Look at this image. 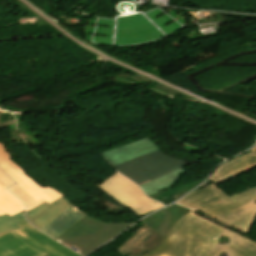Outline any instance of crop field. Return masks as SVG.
Instances as JSON below:
<instances>
[{
	"label": "crop field",
	"mask_w": 256,
	"mask_h": 256,
	"mask_svg": "<svg viewBox=\"0 0 256 256\" xmlns=\"http://www.w3.org/2000/svg\"><path fill=\"white\" fill-rule=\"evenodd\" d=\"M252 151L218 167L210 179L219 184L256 167V148ZM177 203L246 235L256 218V186L229 196L212 184L186 195Z\"/></svg>",
	"instance_id": "1"
},
{
	"label": "crop field",
	"mask_w": 256,
	"mask_h": 256,
	"mask_svg": "<svg viewBox=\"0 0 256 256\" xmlns=\"http://www.w3.org/2000/svg\"><path fill=\"white\" fill-rule=\"evenodd\" d=\"M251 241L190 212L143 256H256Z\"/></svg>",
	"instance_id": "2"
},
{
	"label": "crop field",
	"mask_w": 256,
	"mask_h": 256,
	"mask_svg": "<svg viewBox=\"0 0 256 256\" xmlns=\"http://www.w3.org/2000/svg\"><path fill=\"white\" fill-rule=\"evenodd\" d=\"M23 228L0 235V256H79L26 222Z\"/></svg>",
	"instance_id": "3"
},
{
	"label": "crop field",
	"mask_w": 256,
	"mask_h": 256,
	"mask_svg": "<svg viewBox=\"0 0 256 256\" xmlns=\"http://www.w3.org/2000/svg\"><path fill=\"white\" fill-rule=\"evenodd\" d=\"M132 224L105 223L86 216L55 240L86 256Z\"/></svg>",
	"instance_id": "4"
},
{
	"label": "crop field",
	"mask_w": 256,
	"mask_h": 256,
	"mask_svg": "<svg viewBox=\"0 0 256 256\" xmlns=\"http://www.w3.org/2000/svg\"><path fill=\"white\" fill-rule=\"evenodd\" d=\"M0 167L16 182L9 190L26 204V212L45 201L50 204L63 196L50 187H41L28 177L23 170L11 160L6 147L2 144H0Z\"/></svg>",
	"instance_id": "5"
},
{
	"label": "crop field",
	"mask_w": 256,
	"mask_h": 256,
	"mask_svg": "<svg viewBox=\"0 0 256 256\" xmlns=\"http://www.w3.org/2000/svg\"><path fill=\"white\" fill-rule=\"evenodd\" d=\"M186 164L187 162L168 157L159 150L118 164L114 168L137 185H142Z\"/></svg>",
	"instance_id": "6"
},
{
	"label": "crop field",
	"mask_w": 256,
	"mask_h": 256,
	"mask_svg": "<svg viewBox=\"0 0 256 256\" xmlns=\"http://www.w3.org/2000/svg\"><path fill=\"white\" fill-rule=\"evenodd\" d=\"M98 188L139 216L163 207L162 204L149 200L138 186L118 173L102 182Z\"/></svg>",
	"instance_id": "7"
},
{
	"label": "crop field",
	"mask_w": 256,
	"mask_h": 256,
	"mask_svg": "<svg viewBox=\"0 0 256 256\" xmlns=\"http://www.w3.org/2000/svg\"><path fill=\"white\" fill-rule=\"evenodd\" d=\"M159 150L154 142L148 138L124 145L122 147L102 153L112 166L144 155L146 153Z\"/></svg>",
	"instance_id": "8"
},
{
	"label": "crop field",
	"mask_w": 256,
	"mask_h": 256,
	"mask_svg": "<svg viewBox=\"0 0 256 256\" xmlns=\"http://www.w3.org/2000/svg\"><path fill=\"white\" fill-rule=\"evenodd\" d=\"M72 205L70 200L62 197L50 205L45 202L41 206L29 211L26 213V218L40 230Z\"/></svg>",
	"instance_id": "9"
},
{
	"label": "crop field",
	"mask_w": 256,
	"mask_h": 256,
	"mask_svg": "<svg viewBox=\"0 0 256 256\" xmlns=\"http://www.w3.org/2000/svg\"><path fill=\"white\" fill-rule=\"evenodd\" d=\"M190 211L191 210L187 208L174 204L142 221L145 222L148 227L164 237L168 230L176 224L182 216Z\"/></svg>",
	"instance_id": "10"
},
{
	"label": "crop field",
	"mask_w": 256,
	"mask_h": 256,
	"mask_svg": "<svg viewBox=\"0 0 256 256\" xmlns=\"http://www.w3.org/2000/svg\"><path fill=\"white\" fill-rule=\"evenodd\" d=\"M85 216L86 215L83 212L73 205L40 231L55 239Z\"/></svg>",
	"instance_id": "11"
},
{
	"label": "crop field",
	"mask_w": 256,
	"mask_h": 256,
	"mask_svg": "<svg viewBox=\"0 0 256 256\" xmlns=\"http://www.w3.org/2000/svg\"><path fill=\"white\" fill-rule=\"evenodd\" d=\"M14 182L0 169V215L10 216L24 210V204L6 188Z\"/></svg>",
	"instance_id": "12"
},
{
	"label": "crop field",
	"mask_w": 256,
	"mask_h": 256,
	"mask_svg": "<svg viewBox=\"0 0 256 256\" xmlns=\"http://www.w3.org/2000/svg\"><path fill=\"white\" fill-rule=\"evenodd\" d=\"M183 173H185V170L181 167L163 177L140 186V188L147 194V196H149L171 186L174 182H176L178 176Z\"/></svg>",
	"instance_id": "13"
},
{
	"label": "crop field",
	"mask_w": 256,
	"mask_h": 256,
	"mask_svg": "<svg viewBox=\"0 0 256 256\" xmlns=\"http://www.w3.org/2000/svg\"><path fill=\"white\" fill-rule=\"evenodd\" d=\"M155 234L156 233L147 228L145 225L141 226L139 230L135 231L130 236V238L122 246L119 247L120 253L124 255L135 250L137 247H139L141 244H143Z\"/></svg>",
	"instance_id": "14"
},
{
	"label": "crop field",
	"mask_w": 256,
	"mask_h": 256,
	"mask_svg": "<svg viewBox=\"0 0 256 256\" xmlns=\"http://www.w3.org/2000/svg\"><path fill=\"white\" fill-rule=\"evenodd\" d=\"M24 221V211L12 217H10L8 214L0 216V234L21 228L19 224Z\"/></svg>",
	"instance_id": "15"
},
{
	"label": "crop field",
	"mask_w": 256,
	"mask_h": 256,
	"mask_svg": "<svg viewBox=\"0 0 256 256\" xmlns=\"http://www.w3.org/2000/svg\"><path fill=\"white\" fill-rule=\"evenodd\" d=\"M204 180V179H203ZM203 180H199V181H196V182H193V183H190V184H187L185 186H182V187H179V188H176V189H170V190H165V191H160L156 194H153L151 196H149L150 198L154 199V200H157V201H160L166 197H169V196H173V195H176V194H179V193H182V192H185V191H190L192 188L196 187L198 184H200Z\"/></svg>",
	"instance_id": "16"
},
{
	"label": "crop field",
	"mask_w": 256,
	"mask_h": 256,
	"mask_svg": "<svg viewBox=\"0 0 256 256\" xmlns=\"http://www.w3.org/2000/svg\"><path fill=\"white\" fill-rule=\"evenodd\" d=\"M157 234L149 239L147 242H145L143 245H141L139 248H137L135 251H133L129 256H141L142 254L154 249L157 245H159L163 238Z\"/></svg>",
	"instance_id": "17"
}]
</instances>
